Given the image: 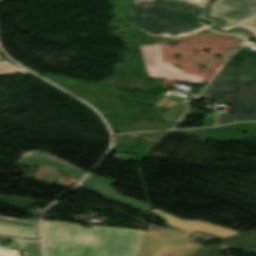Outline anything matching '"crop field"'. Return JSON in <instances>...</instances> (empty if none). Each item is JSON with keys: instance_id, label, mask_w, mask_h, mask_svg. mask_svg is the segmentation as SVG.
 Here are the masks:
<instances>
[{"instance_id": "obj_1", "label": "crop field", "mask_w": 256, "mask_h": 256, "mask_svg": "<svg viewBox=\"0 0 256 256\" xmlns=\"http://www.w3.org/2000/svg\"><path fill=\"white\" fill-rule=\"evenodd\" d=\"M46 256H138L146 231L43 221Z\"/></svg>"}, {"instance_id": "obj_2", "label": "crop field", "mask_w": 256, "mask_h": 256, "mask_svg": "<svg viewBox=\"0 0 256 256\" xmlns=\"http://www.w3.org/2000/svg\"><path fill=\"white\" fill-rule=\"evenodd\" d=\"M207 9L171 0H148L144 5L135 4L129 25L154 37V44L191 38L202 31L245 40L250 37L243 30L221 33L214 25L222 21L204 16Z\"/></svg>"}, {"instance_id": "obj_3", "label": "crop field", "mask_w": 256, "mask_h": 256, "mask_svg": "<svg viewBox=\"0 0 256 256\" xmlns=\"http://www.w3.org/2000/svg\"><path fill=\"white\" fill-rule=\"evenodd\" d=\"M201 98L233 101L232 114H218L217 125L256 120V83L246 76L215 78Z\"/></svg>"}, {"instance_id": "obj_4", "label": "crop field", "mask_w": 256, "mask_h": 256, "mask_svg": "<svg viewBox=\"0 0 256 256\" xmlns=\"http://www.w3.org/2000/svg\"><path fill=\"white\" fill-rule=\"evenodd\" d=\"M199 247L188 240V234L147 231L139 256H187Z\"/></svg>"}, {"instance_id": "obj_5", "label": "crop field", "mask_w": 256, "mask_h": 256, "mask_svg": "<svg viewBox=\"0 0 256 256\" xmlns=\"http://www.w3.org/2000/svg\"><path fill=\"white\" fill-rule=\"evenodd\" d=\"M149 76L202 84L204 78L187 74L162 60L161 45L140 46Z\"/></svg>"}, {"instance_id": "obj_6", "label": "crop field", "mask_w": 256, "mask_h": 256, "mask_svg": "<svg viewBox=\"0 0 256 256\" xmlns=\"http://www.w3.org/2000/svg\"><path fill=\"white\" fill-rule=\"evenodd\" d=\"M210 8L211 12L209 16L227 20V23L222 25L225 26L256 14V0H214Z\"/></svg>"}, {"instance_id": "obj_7", "label": "crop field", "mask_w": 256, "mask_h": 256, "mask_svg": "<svg viewBox=\"0 0 256 256\" xmlns=\"http://www.w3.org/2000/svg\"><path fill=\"white\" fill-rule=\"evenodd\" d=\"M152 212L164 217L169 226L177 228L180 231L186 232V233L201 231L209 235L220 237V238L229 237L239 233L237 231H233V230L223 228V227L213 225L203 221L181 220L158 209H154L152 210Z\"/></svg>"}, {"instance_id": "obj_8", "label": "crop field", "mask_w": 256, "mask_h": 256, "mask_svg": "<svg viewBox=\"0 0 256 256\" xmlns=\"http://www.w3.org/2000/svg\"><path fill=\"white\" fill-rule=\"evenodd\" d=\"M0 236L23 240H40L36 222L0 216Z\"/></svg>"}, {"instance_id": "obj_9", "label": "crop field", "mask_w": 256, "mask_h": 256, "mask_svg": "<svg viewBox=\"0 0 256 256\" xmlns=\"http://www.w3.org/2000/svg\"><path fill=\"white\" fill-rule=\"evenodd\" d=\"M116 182L95 176L90 174L85 181L80 185V187L87 188L93 191L100 192L104 195V197L142 209L148 210L147 205L141 202L135 201L133 199L124 197L122 195L117 194L111 185Z\"/></svg>"}, {"instance_id": "obj_10", "label": "crop field", "mask_w": 256, "mask_h": 256, "mask_svg": "<svg viewBox=\"0 0 256 256\" xmlns=\"http://www.w3.org/2000/svg\"><path fill=\"white\" fill-rule=\"evenodd\" d=\"M43 153H39V152H33L32 155L25 157V158H21V160L19 161V164H28V165H36V166H42V167H49V168H55V169H59V170H65L63 171L64 174L66 175H70V176H80L83 177L86 172L80 171L78 169L57 163L55 161L46 159L41 157Z\"/></svg>"}, {"instance_id": "obj_11", "label": "crop field", "mask_w": 256, "mask_h": 256, "mask_svg": "<svg viewBox=\"0 0 256 256\" xmlns=\"http://www.w3.org/2000/svg\"><path fill=\"white\" fill-rule=\"evenodd\" d=\"M25 256H42L41 243L22 242ZM21 250L20 241L13 240L8 247L0 246V256H19Z\"/></svg>"}, {"instance_id": "obj_12", "label": "crop field", "mask_w": 256, "mask_h": 256, "mask_svg": "<svg viewBox=\"0 0 256 256\" xmlns=\"http://www.w3.org/2000/svg\"><path fill=\"white\" fill-rule=\"evenodd\" d=\"M221 242L228 247L254 250L256 249V230L221 239Z\"/></svg>"}, {"instance_id": "obj_13", "label": "crop field", "mask_w": 256, "mask_h": 256, "mask_svg": "<svg viewBox=\"0 0 256 256\" xmlns=\"http://www.w3.org/2000/svg\"><path fill=\"white\" fill-rule=\"evenodd\" d=\"M234 28H244L253 33L256 37V15L245 18L233 24L227 25L225 27L220 28L222 31H227Z\"/></svg>"}, {"instance_id": "obj_14", "label": "crop field", "mask_w": 256, "mask_h": 256, "mask_svg": "<svg viewBox=\"0 0 256 256\" xmlns=\"http://www.w3.org/2000/svg\"><path fill=\"white\" fill-rule=\"evenodd\" d=\"M223 250H225L223 246L202 247L189 256H220V252Z\"/></svg>"}, {"instance_id": "obj_15", "label": "crop field", "mask_w": 256, "mask_h": 256, "mask_svg": "<svg viewBox=\"0 0 256 256\" xmlns=\"http://www.w3.org/2000/svg\"><path fill=\"white\" fill-rule=\"evenodd\" d=\"M1 73H26V72H24L23 70L19 69L15 65L3 59V60H0V74Z\"/></svg>"}, {"instance_id": "obj_16", "label": "crop field", "mask_w": 256, "mask_h": 256, "mask_svg": "<svg viewBox=\"0 0 256 256\" xmlns=\"http://www.w3.org/2000/svg\"><path fill=\"white\" fill-rule=\"evenodd\" d=\"M144 1H146V0H136L135 3L143 4ZM176 1H181V2H185V3H190V4H195V5L206 7V5L211 0H176Z\"/></svg>"}, {"instance_id": "obj_17", "label": "crop field", "mask_w": 256, "mask_h": 256, "mask_svg": "<svg viewBox=\"0 0 256 256\" xmlns=\"http://www.w3.org/2000/svg\"><path fill=\"white\" fill-rule=\"evenodd\" d=\"M2 1H4V0H0V3H1Z\"/></svg>"}, {"instance_id": "obj_18", "label": "crop field", "mask_w": 256, "mask_h": 256, "mask_svg": "<svg viewBox=\"0 0 256 256\" xmlns=\"http://www.w3.org/2000/svg\"><path fill=\"white\" fill-rule=\"evenodd\" d=\"M253 253H255V254H256V252H253Z\"/></svg>"}]
</instances>
